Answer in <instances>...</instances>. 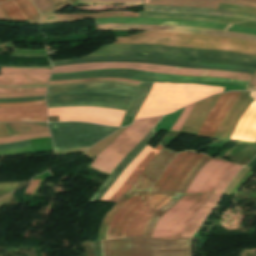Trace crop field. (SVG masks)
<instances>
[{
	"mask_svg": "<svg viewBox=\"0 0 256 256\" xmlns=\"http://www.w3.org/2000/svg\"><path fill=\"white\" fill-rule=\"evenodd\" d=\"M194 152L185 151L178 153L165 168L163 174L158 181L153 185V191L163 192L178 170L190 158ZM203 154L195 152L192 157L185 163V165L176 174L163 193L159 192H136L126 193L128 195H146V196H160L158 197H145V196H131L128 201L113 215L108 231L107 238H123L131 237L133 227L139 216L144 209L148 206L141 217L135 224L132 236H143L144 226L147 223L153 212L167 203L174 195L179 185L185 179L186 175L192 167L203 157Z\"/></svg>",
	"mask_w": 256,
	"mask_h": 256,
	"instance_id": "8a807250",
	"label": "crop field"
},
{
	"mask_svg": "<svg viewBox=\"0 0 256 256\" xmlns=\"http://www.w3.org/2000/svg\"><path fill=\"white\" fill-rule=\"evenodd\" d=\"M153 84L141 82L138 88L111 83L48 87L46 102L48 107L99 106L123 109L127 110L125 115L135 117Z\"/></svg>",
	"mask_w": 256,
	"mask_h": 256,
	"instance_id": "ac0d7876",
	"label": "crop field"
},
{
	"mask_svg": "<svg viewBox=\"0 0 256 256\" xmlns=\"http://www.w3.org/2000/svg\"><path fill=\"white\" fill-rule=\"evenodd\" d=\"M210 159L205 155L187 175L172 199L154 212L145 227L144 237L100 240L101 256H191V239L164 240L150 236L161 215L182 198L196 174Z\"/></svg>",
	"mask_w": 256,
	"mask_h": 256,
	"instance_id": "34b2d1b8",
	"label": "crop field"
},
{
	"mask_svg": "<svg viewBox=\"0 0 256 256\" xmlns=\"http://www.w3.org/2000/svg\"><path fill=\"white\" fill-rule=\"evenodd\" d=\"M234 165L217 159L209 161L197 174L183 198L162 215L151 237L179 238L189 220L206 203L222 176Z\"/></svg>",
	"mask_w": 256,
	"mask_h": 256,
	"instance_id": "412701ff",
	"label": "crop field"
},
{
	"mask_svg": "<svg viewBox=\"0 0 256 256\" xmlns=\"http://www.w3.org/2000/svg\"><path fill=\"white\" fill-rule=\"evenodd\" d=\"M103 55L149 56L201 63L234 64L256 68V56L228 51H209L169 46L130 44L104 45L98 51L84 57Z\"/></svg>",
	"mask_w": 256,
	"mask_h": 256,
	"instance_id": "f4fd0767",
	"label": "crop field"
},
{
	"mask_svg": "<svg viewBox=\"0 0 256 256\" xmlns=\"http://www.w3.org/2000/svg\"><path fill=\"white\" fill-rule=\"evenodd\" d=\"M223 90L222 87L205 85L155 83L135 120L165 115L208 95L223 92Z\"/></svg>",
	"mask_w": 256,
	"mask_h": 256,
	"instance_id": "dd49c442",
	"label": "crop field"
},
{
	"mask_svg": "<svg viewBox=\"0 0 256 256\" xmlns=\"http://www.w3.org/2000/svg\"><path fill=\"white\" fill-rule=\"evenodd\" d=\"M116 39L117 42L114 43H146L200 49H221L256 55V42L233 38L145 31L129 37H116Z\"/></svg>",
	"mask_w": 256,
	"mask_h": 256,
	"instance_id": "e52e79f7",
	"label": "crop field"
},
{
	"mask_svg": "<svg viewBox=\"0 0 256 256\" xmlns=\"http://www.w3.org/2000/svg\"><path fill=\"white\" fill-rule=\"evenodd\" d=\"M161 117L162 116L134 122L109 146L101 151L90 166L110 174L120 160L144 138Z\"/></svg>",
	"mask_w": 256,
	"mask_h": 256,
	"instance_id": "d8731c3e",
	"label": "crop field"
},
{
	"mask_svg": "<svg viewBox=\"0 0 256 256\" xmlns=\"http://www.w3.org/2000/svg\"><path fill=\"white\" fill-rule=\"evenodd\" d=\"M108 68H127L136 69L150 72L168 73L176 75L186 76H199V77H223L233 78L239 80L249 81L252 77L251 74L235 73V72H223L212 70H200V69H183L174 68L162 65L145 64V63H96V64H73L61 67H53V73H67L75 71H84L92 69H108Z\"/></svg>",
	"mask_w": 256,
	"mask_h": 256,
	"instance_id": "5a996713",
	"label": "crop field"
},
{
	"mask_svg": "<svg viewBox=\"0 0 256 256\" xmlns=\"http://www.w3.org/2000/svg\"><path fill=\"white\" fill-rule=\"evenodd\" d=\"M49 116L59 115V121H87L119 126L126 111L98 107L48 108Z\"/></svg>",
	"mask_w": 256,
	"mask_h": 256,
	"instance_id": "3316defc",
	"label": "crop field"
},
{
	"mask_svg": "<svg viewBox=\"0 0 256 256\" xmlns=\"http://www.w3.org/2000/svg\"><path fill=\"white\" fill-rule=\"evenodd\" d=\"M169 26H143V25H135V24H105V25H96L97 30L104 29H130V30H153V31H161ZM163 31H174V32H184V33H193L197 34L198 29L195 28H187V27H177L171 26ZM202 35H213V36H225V37H233L245 40L256 41V36L229 32V31H218V30H206L199 29V33Z\"/></svg>",
	"mask_w": 256,
	"mask_h": 256,
	"instance_id": "28ad6ade",
	"label": "crop field"
},
{
	"mask_svg": "<svg viewBox=\"0 0 256 256\" xmlns=\"http://www.w3.org/2000/svg\"><path fill=\"white\" fill-rule=\"evenodd\" d=\"M239 94L240 92L221 94L219 100L207 115L197 135L212 139L220 122L225 117L231 106L234 104Z\"/></svg>",
	"mask_w": 256,
	"mask_h": 256,
	"instance_id": "d1516ede",
	"label": "crop field"
},
{
	"mask_svg": "<svg viewBox=\"0 0 256 256\" xmlns=\"http://www.w3.org/2000/svg\"><path fill=\"white\" fill-rule=\"evenodd\" d=\"M241 166L235 165L231 170H229L217 185L214 193L210 196L208 202L201 208V210L190 220L189 224L183 231L180 238H191L197 229L200 227L203 220L206 218L210 210L216 205L220 198L221 193L228 185L230 180L236 175Z\"/></svg>",
	"mask_w": 256,
	"mask_h": 256,
	"instance_id": "22f410ed",
	"label": "crop field"
},
{
	"mask_svg": "<svg viewBox=\"0 0 256 256\" xmlns=\"http://www.w3.org/2000/svg\"><path fill=\"white\" fill-rule=\"evenodd\" d=\"M95 24L103 23H137V24H154V25H177V26H193L212 29L225 30L229 25L206 23L197 21L169 20V19H153V18H103L94 19Z\"/></svg>",
	"mask_w": 256,
	"mask_h": 256,
	"instance_id": "cbeb9de0",
	"label": "crop field"
},
{
	"mask_svg": "<svg viewBox=\"0 0 256 256\" xmlns=\"http://www.w3.org/2000/svg\"><path fill=\"white\" fill-rule=\"evenodd\" d=\"M248 95L249 93L241 92L239 98L221 122L213 139L228 141L239 118L252 103Z\"/></svg>",
	"mask_w": 256,
	"mask_h": 256,
	"instance_id": "5142ce71",
	"label": "crop field"
},
{
	"mask_svg": "<svg viewBox=\"0 0 256 256\" xmlns=\"http://www.w3.org/2000/svg\"><path fill=\"white\" fill-rule=\"evenodd\" d=\"M175 153L164 149L148 166L137 183L128 191H149L163 167L173 158Z\"/></svg>",
	"mask_w": 256,
	"mask_h": 256,
	"instance_id": "d9b57169",
	"label": "crop field"
},
{
	"mask_svg": "<svg viewBox=\"0 0 256 256\" xmlns=\"http://www.w3.org/2000/svg\"><path fill=\"white\" fill-rule=\"evenodd\" d=\"M255 101L240 118L230 140L255 142L256 140V92L250 95Z\"/></svg>",
	"mask_w": 256,
	"mask_h": 256,
	"instance_id": "733c2abd",
	"label": "crop field"
},
{
	"mask_svg": "<svg viewBox=\"0 0 256 256\" xmlns=\"http://www.w3.org/2000/svg\"><path fill=\"white\" fill-rule=\"evenodd\" d=\"M50 74L39 75H0V85H32L47 84ZM46 88L0 89V93L45 91Z\"/></svg>",
	"mask_w": 256,
	"mask_h": 256,
	"instance_id": "4a817a6b",
	"label": "crop field"
},
{
	"mask_svg": "<svg viewBox=\"0 0 256 256\" xmlns=\"http://www.w3.org/2000/svg\"><path fill=\"white\" fill-rule=\"evenodd\" d=\"M155 136L153 129L147 134V136L128 154V156L117 166V168L112 172L108 179L103 183V185L98 189L95 195L90 201L99 200L102 195L111 187V185L116 181L121 172L129 165V163L139 154V152L150 142V140Z\"/></svg>",
	"mask_w": 256,
	"mask_h": 256,
	"instance_id": "bc2a9ffb",
	"label": "crop field"
},
{
	"mask_svg": "<svg viewBox=\"0 0 256 256\" xmlns=\"http://www.w3.org/2000/svg\"><path fill=\"white\" fill-rule=\"evenodd\" d=\"M219 96L220 94L199 101L191 112L184 127L180 132L196 135L206 115L208 114Z\"/></svg>",
	"mask_w": 256,
	"mask_h": 256,
	"instance_id": "214f88e0",
	"label": "crop field"
},
{
	"mask_svg": "<svg viewBox=\"0 0 256 256\" xmlns=\"http://www.w3.org/2000/svg\"><path fill=\"white\" fill-rule=\"evenodd\" d=\"M144 11L151 12H180V13H194V14H208L235 17L246 20H256V15L222 11V10H211V9H199V8H176V7H165V6H144Z\"/></svg>",
	"mask_w": 256,
	"mask_h": 256,
	"instance_id": "92a150f3",
	"label": "crop field"
},
{
	"mask_svg": "<svg viewBox=\"0 0 256 256\" xmlns=\"http://www.w3.org/2000/svg\"><path fill=\"white\" fill-rule=\"evenodd\" d=\"M219 2L256 8V2L246 0H153L147 5H177L217 9Z\"/></svg>",
	"mask_w": 256,
	"mask_h": 256,
	"instance_id": "dafd665d",
	"label": "crop field"
},
{
	"mask_svg": "<svg viewBox=\"0 0 256 256\" xmlns=\"http://www.w3.org/2000/svg\"><path fill=\"white\" fill-rule=\"evenodd\" d=\"M139 17H154V18H169V19H184V20H198L207 22H217V23H238L245 20L217 17V16H207V15H194V14H179V13H150V12H140Z\"/></svg>",
	"mask_w": 256,
	"mask_h": 256,
	"instance_id": "00972430",
	"label": "crop field"
},
{
	"mask_svg": "<svg viewBox=\"0 0 256 256\" xmlns=\"http://www.w3.org/2000/svg\"><path fill=\"white\" fill-rule=\"evenodd\" d=\"M47 117L45 105L25 107H0V118Z\"/></svg>",
	"mask_w": 256,
	"mask_h": 256,
	"instance_id": "a9b5d70f",
	"label": "crop field"
},
{
	"mask_svg": "<svg viewBox=\"0 0 256 256\" xmlns=\"http://www.w3.org/2000/svg\"><path fill=\"white\" fill-rule=\"evenodd\" d=\"M161 149L162 147L158 144V146L143 159V161L137 166V168L109 201L116 202L135 183L148 163L161 151Z\"/></svg>",
	"mask_w": 256,
	"mask_h": 256,
	"instance_id": "4177f3b9",
	"label": "crop field"
},
{
	"mask_svg": "<svg viewBox=\"0 0 256 256\" xmlns=\"http://www.w3.org/2000/svg\"><path fill=\"white\" fill-rule=\"evenodd\" d=\"M152 150L150 147H146L131 163L130 165L123 171V173L119 176L117 181L112 185V187L106 192V194L102 197L101 200L108 201L114 193L118 190V188L122 185V183L126 180V178L131 174V172L136 168V166L141 162V160Z\"/></svg>",
	"mask_w": 256,
	"mask_h": 256,
	"instance_id": "730fd06b",
	"label": "crop field"
},
{
	"mask_svg": "<svg viewBox=\"0 0 256 256\" xmlns=\"http://www.w3.org/2000/svg\"><path fill=\"white\" fill-rule=\"evenodd\" d=\"M4 125L10 136L48 130L47 123H9Z\"/></svg>",
	"mask_w": 256,
	"mask_h": 256,
	"instance_id": "eef30255",
	"label": "crop field"
},
{
	"mask_svg": "<svg viewBox=\"0 0 256 256\" xmlns=\"http://www.w3.org/2000/svg\"><path fill=\"white\" fill-rule=\"evenodd\" d=\"M2 9L6 12L9 18L13 21H29L26 16L19 9L14 0L0 3Z\"/></svg>",
	"mask_w": 256,
	"mask_h": 256,
	"instance_id": "ae1a2a85",
	"label": "crop field"
},
{
	"mask_svg": "<svg viewBox=\"0 0 256 256\" xmlns=\"http://www.w3.org/2000/svg\"><path fill=\"white\" fill-rule=\"evenodd\" d=\"M50 73V69H16V68H1L0 74H38Z\"/></svg>",
	"mask_w": 256,
	"mask_h": 256,
	"instance_id": "d3111659",
	"label": "crop field"
},
{
	"mask_svg": "<svg viewBox=\"0 0 256 256\" xmlns=\"http://www.w3.org/2000/svg\"><path fill=\"white\" fill-rule=\"evenodd\" d=\"M47 136H50L48 132H42V133H34V134H28V135H23V136L0 138V144L12 143V142L21 141V140H27V139L39 138V137H47Z\"/></svg>",
	"mask_w": 256,
	"mask_h": 256,
	"instance_id": "750c4746",
	"label": "crop field"
},
{
	"mask_svg": "<svg viewBox=\"0 0 256 256\" xmlns=\"http://www.w3.org/2000/svg\"><path fill=\"white\" fill-rule=\"evenodd\" d=\"M195 104V103H194ZM194 104L186 107L184 109V111L182 112V114L180 115V117L178 118V120L175 122V124L173 125L171 131L172 132H176L178 133L181 129V127L183 126V124L185 123L187 117L189 116ZM196 105V104H195Z\"/></svg>",
	"mask_w": 256,
	"mask_h": 256,
	"instance_id": "bd1437ed",
	"label": "crop field"
},
{
	"mask_svg": "<svg viewBox=\"0 0 256 256\" xmlns=\"http://www.w3.org/2000/svg\"><path fill=\"white\" fill-rule=\"evenodd\" d=\"M145 0H79V2H102V3H125L144 4ZM79 4H101V3H79Z\"/></svg>",
	"mask_w": 256,
	"mask_h": 256,
	"instance_id": "1d83c4d3",
	"label": "crop field"
},
{
	"mask_svg": "<svg viewBox=\"0 0 256 256\" xmlns=\"http://www.w3.org/2000/svg\"><path fill=\"white\" fill-rule=\"evenodd\" d=\"M219 8L237 10V11H244V12H250V13H255L256 14V9H254V8H248V7H243V6L231 5V4L220 3Z\"/></svg>",
	"mask_w": 256,
	"mask_h": 256,
	"instance_id": "120bbe31",
	"label": "crop field"
},
{
	"mask_svg": "<svg viewBox=\"0 0 256 256\" xmlns=\"http://www.w3.org/2000/svg\"><path fill=\"white\" fill-rule=\"evenodd\" d=\"M44 93H45V92L0 94V98H13V97L39 96V95H44Z\"/></svg>",
	"mask_w": 256,
	"mask_h": 256,
	"instance_id": "d32e631a",
	"label": "crop field"
},
{
	"mask_svg": "<svg viewBox=\"0 0 256 256\" xmlns=\"http://www.w3.org/2000/svg\"><path fill=\"white\" fill-rule=\"evenodd\" d=\"M227 30L230 31H237V32H243V33H249V34H255L256 35V29L254 28H248V27H240V26H234L230 25Z\"/></svg>",
	"mask_w": 256,
	"mask_h": 256,
	"instance_id": "5866460e",
	"label": "crop field"
},
{
	"mask_svg": "<svg viewBox=\"0 0 256 256\" xmlns=\"http://www.w3.org/2000/svg\"><path fill=\"white\" fill-rule=\"evenodd\" d=\"M45 104L44 100L34 102H23V103H0V106H24V105H38Z\"/></svg>",
	"mask_w": 256,
	"mask_h": 256,
	"instance_id": "028f5c9d",
	"label": "crop field"
},
{
	"mask_svg": "<svg viewBox=\"0 0 256 256\" xmlns=\"http://www.w3.org/2000/svg\"><path fill=\"white\" fill-rule=\"evenodd\" d=\"M26 9L33 15L34 18L38 17V13L29 0H20Z\"/></svg>",
	"mask_w": 256,
	"mask_h": 256,
	"instance_id": "e1f06a70",
	"label": "crop field"
},
{
	"mask_svg": "<svg viewBox=\"0 0 256 256\" xmlns=\"http://www.w3.org/2000/svg\"><path fill=\"white\" fill-rule=\"evenodd\" d=\"M40 179L39 180H33L30 182L25 194H33L34 190L36 189L38 183H39Z\"/></svg>",
	"mask_w": 256,
	"mask_h": 256,
	"instance_id": "0bd39190",
	"label": "crop field"
},
{
	"mask_svg": "<svg viewBox=\"0 0 256 256\" xmlns=\"http://www.w3.org/2000/svg\"><path fill=\"white\" fill-rule=\"evenodd\" d=\"M9 121H47V118H36V119H0V122Z\"/></svg>",
	"mask_w": 256,
	"mask_h": 256,
	"instance_id": "b80d0937",
	"label": "crop field"
},
{
	"mask_svg": "<svg viewBox=\"0 0 256 256\" xmlns=\"http://www.w3.org/2000/svg\"><path fill=\"white\" fill-rule=\"evenodd\" d=\"M15 2L18 4L20 9L23 11V13L28 17L29 20L33 19V17L30 15V13L25 9V7L22 5V3L19 0H15Z\"/></svg>",
	"mask_w": 256,
	"mask_h": 256,
	"instance_id": "c035e120",
	"label": "crop field"
},
{
	"mask_svg": "<svg viewBox=\"0 0 256 256\" xmlns=\"http://www.w3.org/2000/svg\"><path fill=\"white\" fill-rule=\"evenodd\" d=\"M91 79H96V78H89V79H77V80H67V81H56V82H50L49 84L80 82V81H87V80H91Z\"/></svg>",
	"mask_w": 256,
	"mask_h": 256,
	"instance_id": "c21b1889",
	"label": "crop field"
},
{
	"mask_svg": "<svg viewBox=\"0 0 256 256\" xmlns=\"http://www.w3.org/2000/svg\"><path fill=\"white\" fill-rule=\"evenodd\" d=\"M235 25H241V26H248V27H254L256 28V22H244V23H239Z\"/></svg>",
	"mask_w": 256,
	"mask_h": 256,
	"instance_id": "03da06ac",
	"label": "crop field"
},
{
	"mask_svg": "<svg viewBox=\"0 0 256 256\" xmlns=\"http://www.w3.org/2000/svg\"><path fill=\"white\" fill-rule=\"evenodd\" d=\"M97 80H117V81L129 82L137 85L139 84V81L124 80V79H97Z\"/></svg>",
	"mask_w": 256,
	"mask_h": 256,
	"instance_id": "b54c1fbb",
	"label": "crop field"
},
{
	"mask_svg": "<svg viewBox=\"0 0 256 256\" xmlns=\"http://www.w3.org/2000/svg\"><path fill=\"white\" fill-rule=\"evenodd\" d=\"M69 0H52V2L54 3L55 7L64 4L66 2H68Z\"/></svg>",
	"mask_w": 256,
	"mask_h": 256,
	"instance_id": "5d738f31",
	"label": "crop field"
},
{
	"mask_svg": "<svg viewBox=\"0 0 256 256\" xmlns=\"http://www.w3.org/2000/svg\"><path fill=\"white\" fill-rule=\"evenodd\" d=\"M248 87L256 88V75L254 76L252 82L248 85Z\"/></svg>",
	"mask_w": 256,
	"mask_h": 256,
	"instance_id": "d23c7cc5",
	"label": "crop field"
},
{
	"mask_svg": "<svg viewBox=\"0 0 256 256\" xmlns=\"http://www.w3.org/2000/svg\"><path fill=\"white\" fill-rule=\"evenodd\" d=\"M27 183H28V181L19 182L18 185H17V187H16V189L20 188L21 186H23V185H25V184H27ZM16 189H15V190H16Z\"/></svg>",
	"mask_w": 256,
	"mask_h": 256,
	"instance_id": "425ffa30",
	"label": "crop field"
},
{
	"mask_svg": "<svg viewBox=\"0 0 256 256\" xmlns=\"http://www.w3.org/2000/svg\"><path fill=\"white\" fill-rule=\"evenodd\" d=\"M150 0H146V2L145 3H147V2H149Z\"/></svg>",
	"mask_w": 256,
	"mask_h": 256,
	"instance_id": "25e5ab78",
	"label": "crop field"
},
{
	"mask_svg": "<svg viewBox=\"0 0 256 256\" xmlns=\"http://www.w3.org/2000/svg\"><path fill=\"white\" fill-rule=\"evenodd\" d=\"M3 1H5V0H0V2H3Z\"/></svg>",
	"mask_w": 256,
	"mask_h": 256,
	"instance_id": "73cf0c24",
	"label": "crop field"
},
{
	"mask_svg": "<svg viewBox=\"0 0 256 256\" xmlns=\"http://www.w3.org/2000/svg\"><path fill=\"white\" fill-rule=\"evenodd\" d=\"M77 4H78V0H77Z\"/></svg>",
	"mask_w": 256,
	"mask_h": 256,
	"instance_id": "89e229c0",
	"label": "crop field"
},
{
	"mask_svg": "<svg viewBox=\"0 0 256 256\" xmlns=\"http://www.w3.org/2000/svg\"><path fill=\"white\" fill-rule=\"evenodd\" d=\"M254 1H256V0H254Z\"/></svg>",
	"mask_w": 256,
	"mask_h": 256,
	"instance_id": "1f2cbd36",
	"label": "crop field"
},
{
	"mask_svg": "<svg viewBox=\"0 0 256 256\" xmlns=\"http://www.w3.org/2000/svg\"><path fill=\"white\" fill-rule=\"evenodd\" d=\"M256 144V143H255Z\"/></svg>",
	"mask_w": 256,
	"mask_h": 256,
	"instance_id": "dbb93151",
	"label": "crop field"
}]
</instances>
